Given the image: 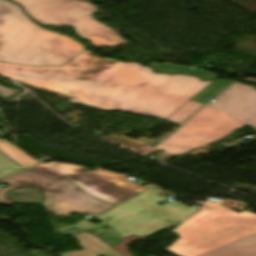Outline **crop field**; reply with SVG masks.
Returning a JSON list of instances; mask_svg holds the SVG:
<instances>
[{
	"mask_svg": "<svg viewBox=\"0 0 256 256\" xmlns=\"http://www.w3.org/2000/svg\"><path fill=\"white\" fill-rule=\"evenodd\" d=\"M22 12L21 9L6 0H0V23Z\"/></svg>",
	"mask_w": 256,
	"mask_h": 256,
	"instance_id": "5142ce71",
	"label": "crop field"
},
{
	"mask_svg": "<svg viewBox=\"0 0 256 256\" xmlns=\"http://www.w3.org/2000/svg\"><path fill=\"white\" fill-rule=\"evenodd\" d=\"M24 14L0 24V62L62 66L84 50L78 42L41 28Z\"/></svg>",
	"mask_w": 256,
	"mask_h": 256,
	"instance_id": "412701ff",
	"label": "crop field"
},
{
	"mask_svg": "<svg viewBox=\"0 0 256 256\" xmlns=\"http://www.w3.org/2000/svg\"><path fill=\"white\" fill-rule=\"evenodd\" d=\"M256 232V214L209 202L172 233L181 236L167 250L176 256H199Z\"/></svg>",
	"mask_w": 256,
	"mask_h": 256,
	"instance_id": "f4fd0767",
	"label": "crop field"
},
{
	"mask_svg": "<svg viewBox=\"0 0 256 256\" xmlns=\"http://www.w3.org/2000/svg\"><path fill=\"white\" fill-rule=\"evenodd\" d=\"M0 182L9 184L6 189H0V202L5 205L15 203L6 196L7 191L28 186L37 187L42 190L45 197V209L55 215H69L74 212H79L94 217L112 207L86 194L67 178L55 182L45 176L28 170L19 175L4 178L0 180Z\"/></svg>",
	"mask_w": 256,
	"mask_h": 256,
	"instance_id": "e52e79f7",
	"label": "crop field"
},
{
	"mask_svg": "<svg viewBox=\"0 0 256 256\" xmlns=\"http://www.w3.org/2000/svg\"><path fill=\"white\" fill-rule=\"evenodd\" d=\"M156 149L182 155L247 124L256 129V91L234 82Z\"/></svg>",
	"mask_w": 256,
	"mask_h": 256,
	"instance_id": "ac0d7876",
	"label": "crop field"
},
{
	"mask_svg": "<svg viewBox=\"0 0 256 256\" xmlns=\"http://www.w3.org/2000/svg\"><path fill=\"white\" fill-rule=\"evenodd\" d=\"M20 4L35 21L74 27L76 34L97 47L123 45L125 42L109 27L91 18L95 9L88 2L76 0H12Z\"/></svg>",
	"mask_w": 256,
	"mask_h": 256,
	"instance_id": "dd49c442",
	"label": "crop field"
},
{
	"mask_svg": "<svg viewBox=\"0 0 256 256\" xmlns=\"http://www.w3.org/2000/svg\"><path fill=\"white\" fill-rule=\"evenodd\" d=\"M105 243H107L108 245L112 246L116 243H121L118 239L116 238H112V239H107V240H104Z\"/></svg>",
	"mask_w": 256,
	"mask_h": 256,
	"instance_id": "733c2abd",
	"label": "crop field"
},
{
	"mask_svg": "<svg viewBox=\"0 0 256 256\" xmlns=\"http://www.w3.org/2000/svg\"><path fill=\"white\" fill-rule=\"evenodd\" d=\"M0 152L24 169L38 163L37 161H35L34 159H32L31 157H29L28 155H26L25 153H23L22 151H20L3 139L0 140Z\"/></svg>",
	"mask_w": 256,
	"mask_h": 256,
	"instance_id": "28ad6ade",
	"label": "crop field"
},
{
	"mask_svg": "<svg viewBox=\"0 0 256 256\" xmlns=\"http://www.w3.org/2000/svg\"><path fill=\"white\" fill-rule=\"evenodd\" d=\"M202 256H256V233Z\"/></svg>",
	"mask_w": 256,
	"mask_h": 256,
	"instance_id": "3316defc",
	"label": "crop field"
},
{
	"mask_svg": "<svg viewBox=\"0 0 256 256\" xmlns=\"http://www.w3.org/2000/svg\"><path fill=\"white\" fill-rule=\"evenodd\" d=\"M80 168L82 167L51 162L31 169L56 181L67 177L86 193L112 205H116L148 187L135 183L124 175L100 169L85 173Z\"/></svg>",
	"mask_w": 256,
	"mask_h": 256,
	"instance_id": "d8731c3e",
	"label": "crop field"
},
{
	"mask_svg": "<svg viewBox=\"0 0 256 256\" xmlns=\"http://www.w3.org/2000/svg\"><path fill=\"white\" fill-rule=\"evenodd\" d=\"M0 73L33 87L70 95L69 103L163 120L213 81L195 76L156 74L138 63L98 58L86 50L62 67L0 63Z\"/></svg>",
	"mask_w": 256,
	"mask_h": 256,
	"instance_id": "8a807250",
	"label": "crop field"
},
{
	"mask_svg": "<svg viewBox=\"0 0 256 256\" xmlns=\"http://www.w3.org/2000/svg\"><path fill=\"white\" fill-rule=\"evenodd\" d=\"M158 193L164 192L151 187L134 198L96 217L103 221L100 225L95 226L89 221H79L75 225L65 226L56 231L60 235L79 234L107 224L123 237L129 234L149 236L184 221L199 209L195 206L189 208L179 202L165 203L163 200L166 197L159 198ZM157 201L165 205L159 206Z\"/></svg>",
	"mask_w": 256,
	"mask_h": 256,
	"instance_id": "34b2d1b8",
	"label": "crop field"
},
{
	"mask_svg": "<svg viewBox=\"0 0 256 256\" xmlns=\"http://www.w3.org/2000/svg\"><path fill=\"white\" fill-rule=\"evenodd\" d=\"M243 81H247V82H256V80L255 79H249V78H246L245 80H243Z\"/></svg>",
	"mask_w": 256,
	"mask_h": 256,
	"instance_id": "4a817a6b",
	"label": "crop field"
},
{
	"mask_svg": "<svg viewBox=\"0 0 256 256\" xmlns=\"http://www.w3.org/2000/svg\"><path fill=\"white\" fill-rule=\"evenodd\" d=\"M200 106H202V104L189 101L173 115H171L168 119H166V121L179 124L184 121L188 116H190Z\"/></svg>",
	"mask_w": 256,
	"mask_h": 256,
	"instance_id": "cbeb9de0",
	"label": "crop field"
},
{
	"mask_svg": "<svg viewBox=\"0 0 256 256\" xmlns=\"http://www.w3.org/2000/svg\"><path fill=\"white\" fill-rule=\"evenodd\" d=\"M229 83H230L229 81L214 80L206 88L201 90L192 100L204 104L206 101H208L215 94H217L219 91H221Z\"/></svg>",
	"mask_w": 256,
	"mask_h": 256,
	"instance_id": "22f410ed",
	"label": "crop field"
},
{
	"mask_svg": "<svg viewBox=\"0 0 256 256\" xmlns=\"http://www.w3.org/2000/svg\"><path fill=\"white\" fill-rule=\"evenodd\" d=\"M80 242L77 244L84 250L61 253V256H122L102 240L84 232L79 235H70Z\"/></svg>",
	"mask_w": 256,
	"mask_h": 256,
	"instance_id": "5a996713",
	"label": "crop field"
},
{
	"mask_svg": "<svg viewBox=\"0 0 256 256\" xmlns=\"http://www.w3.org/2000/svg\"><path fill=\"white\" fill-rule=\"evenodd\" d=\"M24 170L0 153V177Z\"/></svg>",
	"mask_w": 256,
	"mask_h": 256,
	"instance_id": "d9b57169",
	"label": "crop field"
},
{
	"mask_svg": "<svg viewBox=\"0 0 256 256\" xmlns=\"http://www.w3.org/2000/svg\"><path fill=\"white\" fill-rule=\"evenodd\" d=\"M150 67H154V70L156 72L192 74V75H197L202 79H211L216 77V75L213 73H208L204 71H195L192 69H187L185 66H180V65H158V64L152 63Z\"/></svg>",
	"mask_w": 256,
	"mask_h": 256,
	"instance_id": "d1516ede",
	"label": "crop field"
}]
</instances>
